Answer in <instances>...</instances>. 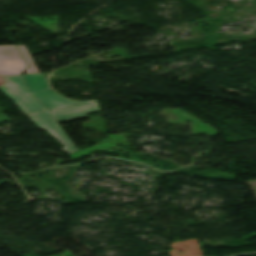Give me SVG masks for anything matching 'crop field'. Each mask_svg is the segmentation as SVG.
Listing matches in <instances>:
<instances>
[{
    "label": "crop field",
    "instance_id": "1",
    "mask_svg": "<svg viewBox=\"0 0 256 256\" xmlns=\"http://www.w3.org/2000/svg\"><path fill=\"white\" fill-rule=\"evenodd\" d=\"M7 84L0 87L40 129L48 130L65 145L68 154L77 151L58 123L86 117L85 113L98 111L94 101L74 102L54 93L42 74L4 77ZM50 109L51 111H47Z\"/></svg>",
    "mask_w": 256,
    "mask_h": 256
},
{
    "label": "crop field",
    "instance_id": "3",
    "mask_svg": "<svg viewBox=\"0 0 256 256\" xmlns=\"http://www.w3.org/2000/svg\"><path fill=\"white\" fill-rule=\"evenodd\" d=\"M23 57L25 58L29 68L25 71L26 74H31V73H39L32 58L30 57L28 51L26 50L24 45L17 46Z\"/></svg>",
    "mask_w": 256,
    "mask_h": 256
},
{
    "label": "crop field",
    "instance_id": "2",
    "mask_svg": "<svg viewBox=\"0 0 256 256\" xmlns=\"http://www.w3.org/2000/svg\"><path fill=\"white\" fill-rule=\"evenodd\" d=\"M27 68L16 46L0 47V76L22 74Z\"/></svg>",
    "mask_w": 256,
    "mask_h": 256
}]
</instances>
